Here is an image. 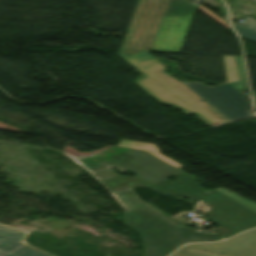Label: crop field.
Wrapping results in <instances>:
<instances>
[{
    "mask_svg": "<svg viewBox=\"0 0 256 256\" xmlns=\"http://www.w3.org/2000/svg\"><path fill=\"white\" fill-rule=\"evenodd\" d=\"M124 224L132 227L143 239L144 256H167L180 245L196 241H216L214 234L199 233L159 218L149 210L124 215Z\"/></svg>",
    "mask_w": 256,
    "mask_h": 256,
    "instance_id": "1",
    "label": "crop field"
},
{
    "mask_svg": "<svg viewBox=\"0 0 256 256\" xmlns=\"http://www.w3.org/2000/svg\"><path fill=\"white\" fill-rule=\"evenodd\" d=\"M227 82L216 87L185 83L229 121L250 117L248 100L240 95L247 90L241 56H223Z\"/></svg>",
    "mask_w": 256,
    "mask_h": 256,
    "instance_id": "2",
    "label": "crop field"
},
{
    "mask_svg": "<svg viewBox=\"0 0 256 256\" xmlns=\"http://www.w3.org/2000/svg\"><path fill=\"white\" fill-rule=\"evenodd\" d=\"M108 159L128 168L137 176L128 178L117 176L101 181L110 192H117L132 188L130 184H147L151 188L169 184L166 179L169 175H177L180 180L192 178L170 164L141 150L128 148Z\"/></svg>",
    "mask_w": 256,
    "mask_h": 256,
    "instance_id": "3",
    "label": "crop field"
},
{
    "mask_svg": "<svg viewBox=\"0 0 256 256\" xmlns=\"http://www.w3.org/2000/svg\"><path fill=\"white\" fill-rule=\"evenodd\" d=\"M196 10L183 0H170L150 51L180 52Z\"/></svg>",
    "mask_w": 256,
    "mask_h": 256,
    "instance_id": "4",
    "label": "crop field"
},
{
    "mask_svg": "<svg viewBox=\"0 0 256 256\" xmlns=\"http://www.w3.org/2000/svg\"><path fill=\"white\" fill-rule=\"evenodd\" d=\"M168 1L139 0L121 48L148 50Z\"/></svg>",
    "mask_w": 256,
    "mask_h": 256,
    "instance_id": "5",
    "label": "crop field"
},
{
    "mask_svg": "<svg viewBox=\"0 0 256 256\" xmlns=\"http://www.w3.org/2000/svg\"><path fill=\"white\" fill-rule=\"evenodd\" d=\"M171 256H256V234L245 232L224 243L189 244Z\"/></svg>",
    "mask_w": 256,
    "mask_h": 256,
    "instance_id": "6",
    "label": "crop field"
},
{
    "mask_svg": "<svg viewBox=\"0 0 256 256\" xmlns=\"http://www.w3.org/2000/svg\"><path fill=\"white\" fill-rule=\"evenodd\" d=\"M24 233L0 226V256H46L25 248L19 241Z\"/></svg>",
    "mask_w": 256,
    "mask_h": 256,
    "instance_id": "7",
    "label": "crop field"
},
{
    "mask_svg": "<svg viewBox=\"0 0 256 256\" xmlns=\"http://www.w3.org/2000/svg\"><path fill=\"white\" fill-rule=\"evenodd\" d=\"M75 160L79 165L89 171L98 181L117 176L115 173L107 169L111 165L96 158L95 156L75 158Z\"/></svg>",
    "mask_w": 256,
    "mask_h": 256,
    "instance_id": "8",
    "label": "crop field"
},
{
    "mask_svg": "<svg viewBox=\"0 0 256 256\" xmlns=\"http://www.w3.org/2000/svg\"><path fill=\"white\" fill-rule=\"evenodd\" d=\"M112 195L119 201V203L125 209V213L149 209L159 217L163 218L160 214L155 212L153 209H151L144 203L140 202L131 189L114 193Z\"/></svg>",
    "mask_w": 256,
    "mask_h": 256,
    "instance_id": "9",
    "label": "crop field"
},
{
    "mask_svg": "<svg viewBox=\"0 0 256 256\" xmlns=\"http://www.w3.org/2000/svg\"><path fill=\"white\" fill-rule=\"evenodd\" d=\"M118 146L141 149V150H144V151L170 163L171 165H173L179 169L184 167V166L170 160L169 158L165 157L164 155L160 154L159 150L155 144L121 140Z\"/></svg>",
    "mask_w": 256,
    "mask_h": 256,
    "instance_id": "10",
    "label": "crop field"
},
{
    "mask_svg": "<svg viewBox=\"0 0 256 256\" xmlns=\"http://www.w3.org/2000/svg\"><path fill=\"white\" fill-rule=\"evenodd\" d=\"M241 23H232L238 33L250 40L256 41V20L253 17H244Z\"/></svg>",
    "mask_w": 256,
    "mask_h": 256,
    "instance_id": "11",
    "label": "crop field"
},
{
    "mask_svg": "<svg viewBox=\"0 0 256 256\" xmlns=\"http://www.w3.org/2000/svg\"><path fill=\"white\" fill-rule=\"evenodd\" d=\"M217 190L220 191V192H222V193H224L225 195L231 197L232 199H234V200L240 202L241 204H243V205L249 207L250 209L256 211V203L251 202V201H248V200H246V199H244V198H242V197H240V196L234 194L233 192H231V191H229V190H227V189H225V188H219V189H217Z\"/></svg>",
    "mask_w": 256,
    "mask_h": 256,
    "instance_id": "12",
    "label": "crop field"
},
{
    "mask_svg": "<svg viewBox=\"0 0 256 256\" xmlns=\"http://www.w3.org/2000/svg\"><path fill=\"white\" fill-rule=\"evenodd\" d=\"M123 149H125V148H123V147H116V146H115V147H113V148H111V149H109V150H107V151H104V152H102V153H99V154H97V155H95V156L101 158L102 160L108 162L109 164L115 166L117 169H119L120 171L123 172V171H125V170H127V169H125V168H123V167H121V166H119V165H117V164H115V163H113V162H111V161H109V160L106 159L107 157H109V156H111V155H113V154H115V153H117V152H119V151H121V150H123ZM128 171H129V170H128Z\"/></svg>",
    "mask_w": 256,
    "mask_h": 256,
    "instance_id": "13",
    "label": "crop field"
},
{
    "mask_svg": "<svg viewBox=\"0 0 256 256\" xmlns=\"http://www.w3.org/2000/svg\"><path fill=\"white\" fill-rule=\"evenodd\" d=\"M198 8H200L202 11H204L205 13H207L209 16H211L213 19H215L216 21H218L220 24H222L223 26H225L227 29L230 30V28L227 26V24L225 22H223L221 19H219L218 17H216L215 15H213L211 12H209L208 10H206L205 8H203L201 5L198 6Z\"/></svg>",
    "mask_w": 256,
    "mask_h": 256,
    "instance_id": "14",
    "label": "crop field"
},
{
    "mask_svg": "<svg viewBox=\"0 0 256 256\" xmlns=\"http://www.w3.org/2000/svg\"><path fill=\"white\" fill-rule=\"evenodd\" d=\"M111 147H113V146H108V147L103 148V149H101V150H98V151H96V152H93V153H90V154H87V155H84V156H80V157H85V156H89V155H95V154H97V153H99V152H102V151H104V150H107V149H109V148H111Z\"/></svg>",
    "mask_w": 256,
    "mask_h": 256,
    "instance_id": "15",
    "label": "crop field"
},
{
    "mask_svg": "<svg viewBox=\"0 0 256 256\" xmlns=\"http://www.w3.org/2000/svg\"><path fill=\"white\" fill-rule=\"evenodd\" d=\"M198 210L204 213V212L210 210V207L206 209V208H204V206L202 204H200L198 207Z\"/></svg>",
    "mask_w": 256,
    "mask_h": 256,
    "instance_id": "16",
    "label": "crop field"
},
{
    "mask_svg": "<svg viewBox=\"0 0 256 256\" xmlns=\"http://www.w3.org/2000/svg\"><path fill=\"white\" fill-rule=\"evenodd\" d=\"M186 1L192 3V4L195 5V6H197L198 3H199V0H186Z\"/></svg>",
    "mask_w": 256,
    "mask_h": 256,
    "instance_id": "17",
    "label": "crop field"
},
{
    "mask_svg": "<svg viewBox=\"0 0 256 256\" xmlns=\"http://www.w3.org/2000/svg\"><path fill=\"white\" fill-rule=\"evenodd\" d=\"M253 94H254V97H255V100H256V92L253 91ZM255 110H256V104H255Z\"/></svg>",
    "mask_w": 256,
    "mask_h": 256,
    "instance_id": "18",
    "label": "crop field"
},
{
    "mask_svg": "<svg viewBox=\"0 0 256 256\" xmlns=\"http://www.w3.org/2000/svg\"><path fill=\"white\" fill-rule=\"evenodd\" d=\"M136 186H147V185H132V187H136Z\"/></svg>",
    "mask_w": 256,
    "mask_h": 256,
    "instance_id": "19",
    "label": "crop field"
},
{
    "mask_svg": "<svg viewBox=\"0 0 256 256\" xmlns=\"http://www.w3.org/2000/svg\"><path fill=\"white\" fill-rule=\"evenodd\" d=\"M252 231L256 233V230H252Z\"/></svg>",
    "mask_w": 256,
    "mask_h": 256,
    "instance_id": "20",
    "label": "crop field"
}]
</instances>
